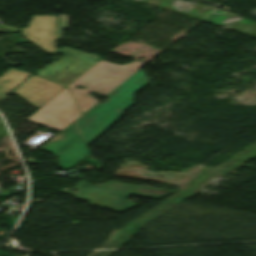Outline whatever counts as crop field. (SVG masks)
Instances as JSON below:
<instances>
[{
    "instance_id": "obj_3",
    "label": "crop field",
    "mask_w": 256,
    "mask_h": 256,
    "mask_svg": "<svg viewBox=\"0 0 256 256\" xmlns=\"http://www.w3.org/2000/svg\"><path fill=\"white\" fill-rule=\"evenodd\" d=\"M76 189L79 190L76 194L78 198L88 200L91 204L113 208L119 212H123L135 206L134 203L124 199L132 193L160 198L172 192L170 190L114 181L107 182L100 187L92 186L85 181H80Z\"/></svg>"
},
{
    "instance_id": "obj_6",
    "label": "crop field",
    "mask_w": 256,
    "mask_h": 256,
    "mask_svg": "<svg viewBox=\"0 0 256 256\" xmlns=\"http://www.w3.org/2000/svg\"><path fill=\"white\" fill-rule=\"evenodd\" d=\"M58 16H32L21 36L29 39L47 53H54Z\"/></svg>"
},
{
    "instance_id": "obj_1",
    "label": "crop field",
    "mask_w": 256,
    "mask_h": 256,
    "mask_svg": "<svg viewBox=\"0 0 256 256\" xmlns=\"http://www.w3.org/2000/svg\"><path fill=\"white\" fill-rule=\"evenodd\" d=\"M150 83L140 69L114 90L105 104H96L75 122L86 142L97 138L123 111L133 103V93Z\"/></svg>"
},
{
    "instance_id": "obj_2",
    "label": "crop field",
    "mask_w": 256,
    "mask_h": 256,
    "mask_svg": "<svg viewBox=\"0 0 256 256\" xmlns=\"http://www.w3.org/2000/svg\"><path fill=\"white\" fill-rule=\"evenodd\" d=\"M144 63L133 61L124 65H114L105 61L94 64L80 77L68 85V89L80 108L82 114L98 101L88 95L89 92L107 96L137 70ZM75 85L84 86V89H74Z\"/></svg>"
},
{
    "instance_id": "obj_5",
    "label": "crop field",
    "mask_w": 256,
    "mask_h": 256,
    "mask_svg": "<svg viewBox=\"0 0 256 256\" xmlns=\"http://www.w3.org/2000/svg\"><path fill=\"white\" fill-rule=\"evenodd\" d=\"M40 150L55 154L65 171L89 154L74 123L62 130Z\"/></svg>"
},
{
    "instance_id": "obj_7",
    "label": "crop field",
    "mask_w": 256,
    "mask_h": 256,
    "mask_svg": "<svg viewBox=\"0 0 256 256\" xmlns=\"http://www.w3.org/2000/svg\"><path fill=\"white\" fill-rule=\"evenodd\" d=\"M64 87L65 86L34 75L13 93L39 109Z\"/></svg>"
},
{
    "instance_id": "obj_9",
    "label": "crop field",
    "mask_w": 256,
    "mask_h": 256,
    "mask_svg": "<svg viewBox=\"0 0 256 256\" xmlns=\"http://www.w3.org/2000/svg\"><path fill=\"white\" fill-rule=\"evenodd\" d=\"M30 73L11 67L0 76V100L22 83Z\"/></svg>"
},
{
    "instance_id": "obj_4",
    "label": "crop field",
    "mask_w": 256,
    "mask_h": 256,
    "mask_svg": "<svg viewBox=\"0 0 256 256\" xmlns=\"http://www.w3.org/2000/svg\"><path fill=\"white\" fill-rule=\"evenodd\" d=\"M80 114L66 87L26 121L61 131Z\"/></svg>"
},
{
    "instance_id": "obj_8",
    "label": "crop field",
    "mask_w": 256,
    "mask_h": 256,
    "mask_svg": "<svg viewBox=\"0 0 256 256\" xmlns=\"http://www.w3.org/2000/svg\"><path fill=\"white\" fill-rule=\"evenodd\" d=\"M58 52L60 55L77 60L76 63H74L72 66H70L68 69H66L52 80L65 86L70 84L84 71L96 63V60L98 59L96 55L77 51L66 46L58 49Z\"/></svg>"
},
{
    "instance_id": "obj_10",
    "label": "crop field",
    "mask_w": 256,
    "mask_h": 256,
    "mask_svg": "<svg viewBox=\"0 0 256 256\" xmlns=\"http://www.w3.org/2000/svg\"><path fill=\"white\" fill-rule=\"evenodd\" d=\"M74 62H76V61L64 57V58L58 60L54 66L47 67L43 71L37 73L36 75H39L41 77L51 80L55 76H57L59 73H61L63 70H65L70 65H72Z\"/></svg>"
},
{
    "instance_id": "obj_11",
    "label": "crop field",
    "mask_w": 256,
    "mask_h": 256,
    "mask_svg": "<svg viewBox=\"0 0 256 256\" xmlns=\"http://www.w3.org/2000/svg\"><path fill=\"white\" fill-rule=\"evenodd\" d=\"M67 25H68V16L59 14L57 43H56V51H55V53L57 54H58L57 52L58 41L62 38V29H67Z\"/></svg>"
}]
</instances>
